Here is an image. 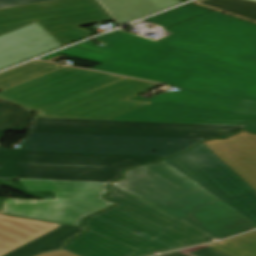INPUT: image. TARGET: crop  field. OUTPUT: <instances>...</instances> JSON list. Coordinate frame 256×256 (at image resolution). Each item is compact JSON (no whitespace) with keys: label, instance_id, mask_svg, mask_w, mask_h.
Masks as SVG:
<instances>
[{"label":"crop field","instance_id":"8a807250","mask_svg":"<svg viewBox=\"0 0 256 256\" xmlns=\"http://www.w3.org/2000/svg\"><path fill=\"white\" fill-rule=\"evenodd\" d=\"M244 126L35 118L21 149L0 148V178L56 200L8 199L3 213L81 226L107 208L106 187L124 170L154 163Z\"/></svg>","mask_w":256,"mask_h":256},{"label":"crop field","instance_id":"ac0d7876","mask_svg":"<svg viewBox=\"0 0 256 256\" xmlns=\"http://www.w3.org/2000/svg\"><path fill=\"white\" fill-rule=\"evenodd\" d=\"M119 205L84 221L85 233L66 250L80 256H150L217 239L111 186ZM142 232L143 235H136Z\"/></svg>","mask_w":256,"mask_h":256},{"label":"crop field","instance_id":"34b2d1b8","mask_svg":"<svg viewBox=\"0 0 256 256\" xmlns=\"http://www.w3.org/2000/svg\"><path fill=\"white\" fill-rule=\"evenodd\" d=\"M115 186L221 240L256 229V224L161 162L125 174Z\"/></svg>","mask_w":256,"mask_h":256},{"label":"crop field","instance_id":"412701ff","mask_svg":"<svg viewBox=\"0 0 256 256\" xmlns=\"http://www.w3.org/2000/svg\"><path fill=\"white\" fill-rule=\"evenodd\" d=\"M161 41L235 67L256 72V25L212 11L166 28Z\"/></svg>","mask_w":256,"mask_h":256},{"label":"crop field","instance_id":"f4fd0767","mask_svg":"<svg viewBox=\"0 0 256 256\" xmlns=\"http://www.w3.org/2000/svg\"><path fill=\"white\" fill-rule=\"evenodd\" d=\"M152 103L111 120L245 125L256 134V103L182 89L152 99Z\"/></svg>","mask_w":256,"mask_h":256},{"label":"crop field","instance_id":"dd49c442","mask_svg":"<svg viewBox=\"0 0 256 256\" xmlns=\"http://www.w3.org/2000/svg\"><path fill=\"white\" fill-rule=\"evenodd\" d=\"M96 39L107 40L112 45L100 48L87 41L77 46L102 52L73 47L40 59L46 60L61 54L103 64L91 70L166 83L172 86H177L188 72L155 64L170 48L168 46L120 31Z\"/></svg>","mask_w":256,"mask_h":256},{"label":"crop field","instance_id":"e52e79f7","mask_svg":"<svg viewBox=\"0 0 256 256\" xmlns=\"http://www.w3.org/2000/svg\"><path fill=\"white\" fill-rule=\"evenodd\" d=\"M111 20L97 0H57L0 9V35L37 22L64 46L88 37L81 26Z\"/></svg>","mask_w":256,"mask_h":256},{"label":"crop field","instance_id":"d8731c3e","mask_svg":"<svg viewBox=\"0 0 256 256\" xmlns=\"http://www.w3.org/2000/svg\"><path fill=\"white\" fill-rule=\"evenodd\" d=\"M163 161L256 223V192L203 143Z\"/></svg>","mask_w":256,"mask_h":256},{"label":"crop field","instance_id":"5a996713","mask_svg":"<svg viewBox=\"0 0 256 256\" xmlns=\"http://www.w3.org/2000/svg\"><path fill=\"white\" fill-rule=\"evenodd\" d=\"M123 78L65 67L2 90L0 99L38 113Z\"/></svg>","mask_w":256,"mask_h":256},{"label":"crop field","instance_id":"3316defc","mask_svg":"<svg viewBox=\"0 0 256 256\" xmlns=\"http://www.w3.org/2000/svg\"><path fill=\"white\" fill-rule=\"evenodd\" d=\"M158 64L190 70L177 87L256 102V73L171 47Z\"/></svg>","mask_w":256,"mask_h":256},{"label":"crop field","instance_id":"28ad6ade","mask_svg":"<svg viewBox=\"0 0 256 256\" xmlns=\"http://www.w3.org/2000/svg\"><path fill=\"white\" fill-rule=\"evenodd\" d=\"M161 86L125 78L45 110L36 117L109 120L147 105L126 100Z\"/></svg>","mask_w":256,"mask_h":256},{"label":"crop field","instance_id":"d1516ede","mask_svg":"<svg viewBox=\"0 0 256 256\" xmlns=\"http://www.w3.org/2000/svg\"><path fill=\"white\" fill-rule=\"evenodd\" d=\"M49 35L37 23L1 35L0 69L62 47Z\"/></svg>","mask_w":256,"mask_h":256},{"label":"crop field","instance_id":"22f410ed","mask_svg":"<svg viewBox=\"0 0 256 256\" xmlns=\"http://www.w3.org/2000/svg\"><path fill=\"white\" fill-rule=\"evenodd\" d=\"M204 144L256 191V135L240 132L226 140Z\"/></svg>","mask_w":256,"mask_h":256},{"label":"crop field","instance_id":"cbeb9de0","mask_svg":"<svg viewBox=\"0 0 256 256\" xmlns=\"http://www.w3.org/2000/svg\"><path fill=\"white\" fill-rule=\"evenodd\" d=\"M58 227V224L0 215V256Z\"/></svg>","mask_w":256,"mask_h":256},{"label":"crop field","instance_id":"5142ce71","mask_svg":"<svg viewBox=\"0 0 256 256\" xmlns=\"http://www.w3.org/2000/svg\"><path fill=\"white\" fill-rule=\"evenodd\" d=\"M121 24L182 3L179 0H100Z\"/></svg>","mask_w":256,"mask_h":256},{"label":"crop field","instance_id":"d9b57169","mask_svg":"<svg viewBox=\"0 0 256 256\" xmlns=\"http://www.w3.org/2000/svg\"><path fill=\"white\" fill-rule=\"evenodd\" d=\"M179 252L188 256H256V231Z\"/></svg>","mask_w":256,"mask_h":256},{"label":"crop field","instance_id":"733c2abd","mask_svg":"<svg viewBox=\"0 0 256 256\" xmlns=\"http://www.w3.org/2000/svg\"><path fill=\"white\" fill-rule=\"evenodd\" d=\"M84 231L83 228L60 225V227L4 256H34L39 253L59 250L65 241Z\"/></svg>","mask_w":256,"mask_h":256},{"label":"crop field","instance_id":"4a817a6b","mask_svg":"<svg viewBox=\"0 0 256 256\" xmlns=\"http://www.w3.org/2000/svg\"><path fill=\"white\" fill-rule=\"evenodd\" d=\"M65 67L63 65L34 61L0 74V90Z\"/></svg>","mask_w":256,"mask_h":256},{"label":"crop field","instance_id":"bc2a9ffb","mask_svg":"<svg viewBox=\"0 0 256 256\" xmlns=\"http://www.w3.org/2000/svg\"><path fill=\"white\" fill-rule=\"evenodd\" d=\"M216 11L256 23V2L248 0H199L194 2Z\"/></svg>","mask_w":256,"mask_h":256},{"label":"crop field","instance_id":"214f88e0","mask_svg":"<svg viewBox=\"0 0 256 256\" xmlns=\"http://www.w3.org/2000/svg\"><path fill=\"white\" fill-rule=\"evenodd\" d=\"M33 113L0 103V140L8 131L25 132Z\"/></svg>","mask_w":256,"mask_h":256},{"label":"crop field","instance_id":"92a150f3","mask_svg":"<svg viewBox=\"0 0 256 256\" xmlns=\"http://www.w3.org/2000/svg\"><path fill=\"white\" fill-rule=\"evenodd\" d=\"M205 8L199 7L194 4H189L172 11L157 15L155 17L147 19L151 23H155L165 28L167 26L173 25L180 21L186 20L188 18L203 14L208 12Z\"/></svg>","mask_w":256,"mask_h":256},{"label":"crop field","instance_id":"dafd665d","mask_svg":"<svg viewBox=\"0 0 256 256\" xmlns=\"http://www.w3.org/2000/svg\"><path fill=\"white\" fill-rule=\"evenodd\" d=\"M50 0H0V8L19 6L31 3H38Z\"/></svg>","mask_w":256,"mask_h":256},{"label":"crop field","instance_id":"00972430","mask_svg":"<svg viewBox=\"0 0 256 256\" xmlns=\"http://www.w3.org/2000/svg\"><path fill=\"white\" fill-rule=\"evenodd\" d=\"M41 256H78V255H75L71 252H68L66 250H64L63 252H58V253H48V254H43Z\"/></svg>","mask_w":256,"mask_h":256},{"label":"crop field","instance_id":"a9b5d70f","mask_svg":"<svg viewBox=\"0 0 256 256\" xmlns=\"http://www.w3.org/2000/svg\"><path fill=\"white\" fill-rule=\"evenodd\" d=\"M160 256H186V255H183L179 252H172V253L163 254V255H160Z\"/></svg>","mask_w":256,"mask_h":256},{"label":"crop field","instance_id":"4177f3b9","mask_svg":"<svg viewBox=\"0 0 256 256\" xmlns=\"http://www.w3.org/2000/svg\"><path fill=\"white\" fill-rule=\"evenodd\" d=\"M6 198H0V213L2 212L3 206H4V202H5Z\"/></svg>","mask_w":256,"mask_h":256},{"label":"crop field","instance_id":"730fd06b","mask_svg":"<svg viewBox=\"0 0 256 256\" xmlns=\"http://www.w3.org/2000/svg\"><path fill=\"white\" fill-rule=\"evenodd\" d=\"M253 1H256V0H253Z\"/></svg>","mask_w":256,"mask_h":256}]
</instances>
